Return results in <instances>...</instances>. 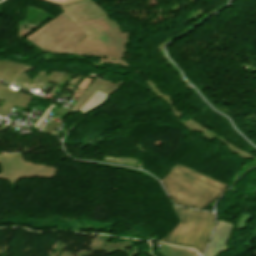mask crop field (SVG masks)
<instances>
[{"label":"crop field","mask_w":256,"mask_h":256,"mask_svg":"<svg viewBox=\"0 0 256 256\" xmlns=\"http://www.w3.org/2000/svg\"><path fill=\"white\" fill-rule=\"evenodd\" d=\"M175 204L205 208L227 186L177 166L162 184Z\"/></svg>","instance_id":"crop-field-1"},{"label":"crop field","mask_w":256,"mask_h":256,"mask_svg":"<svg viewBox=\"0 0 256 256\" xmlns=\"http://www.w3.org/2000/svg\"><path fill=\"white\" fill-rule=\"evenodd\" d=\"M174 206V205H173ZM181 222L170 243L192 246L202 252L214 223L211 213L174 206Z\"/></svg>","instance_id":"crop-field-2"},{"label":"crop field","mask_w":256,"mask_h":256,"mask_svg":"<svg viewBox=\"0 0 256 256\" xmlns=\"http://www.w3.org/2000/svg\"><path fill=\"white\" fill-rule=\"evenodd\" d=\"M231 223L218 222L213 237L208 245L204 256H212L220 245L224 242L231 227Z\"/></svg>","instance_id":"crop-field-3"}]
</instances>
